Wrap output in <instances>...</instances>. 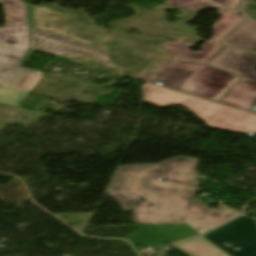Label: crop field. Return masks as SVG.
Instances as JSON below:
<instances>
[{
	"label": "crop field",
	"instance_id": "crop-field-8",
	"mask_svg": "<svg viewBox=\"0 0 256 256\" xmlns=\"http://www.w3.org/2000/svg\"><path fill=\"white\" fill-rule=\"evenodd\" d=\"M209 65L217 66L230 72L256 81V53L226 47Z\"/></svg>",
	"mask_w": 256,
	"mask_h": 256
},
{
	"label": "crop field",
	"instance_id": "crop-field-3",
	"mask_svg": "<svg viewBox=\"0 0 256 256\" xmlns=\"http://www.w3.org/2000/svg\"><path fill=\"white\" fill-rule=\"evenodd\" d=\"M144 101L161 107L181 105L210 127L237 132H256V115L145 83Z\"/></svg>",
	"mask_w": 256,
	"mask_h": 256
},
{
	"label": "crop field",
	"instance_id": "crop-field-17",
	"mask_svg": "<svg viewBox=\"0 0 256 256\" xmlns=\"http://www.w3.org/2000/svg\"><path fill=\"white\" fill-rule=\"evenodd\" d=\"M166 3L174 6L182 7V8L197 10V11H200L206 7L214 5L206 0H170Z\"/></svg>",
	"mask_w": 256,
	"mask_h": 256
},
{
	"label": "crop field",
	"instance_id": "crop-field-12",
	"mask_svg": "<svg viewBox=\"0 0 256 256\" xmlns=\"http://www.w3.org/2000/svg\"><path fill=\"white\" fill-rule=\"evenodd\" d=\"M191 45H187L180 42H170L164 49L194 59L196 61L206 64L215 54H217L224 46L207 42L200 52H193L188 50Z\"/></svg>",
	"mask_w": 256,
	"mask_h": 256
},
{
	"label": "crop field",
	"instance_id": "crop-field-2",
	"mask_svg": "<svg viewBox=\"0 0 256 256\" xmlns=\"http://www.w3.org/2000/svg\"><path fill=\"white\" fill-rule=\"evenodd\" d=\"M137 79L217 101L238 76L176 54L158 73L145 71Z\"/></svg>",
	"mask_w": 256,
	"mask_h": 256
},
{
	"label": "crop field",
	"instance_id": "crop-field-6",
	"mask_svg": "<svg viewBox=\"0 0 256 256\" xmlns=\"http://www.w3.org/2000/svg\"><path fill=\"white\" fill-rule=\"evenodd\" d=\"M7 24L0 28V39L28 48L25 4L19 0H0Z\"/></svg>",
	"mask_w": 256,
	"mask_h": 256
},
{
	"label": "crop field",
	"instance_id": "crop-field-7",
	"mask_svg": "<svg viewBox=\"0 0 256 256\" xmlns=\"http://www.w3.org/2000/svg\"><path fill=\"white\" fill-rule=\"evenodd\" d=\"M198 235L185 225L141 226L128 239L134 246L152 242L154 245L166 241L172 243Z\"/></svg>",
	"mask_w": 256,
	"mask_h": 256
},
{
	"label": "crop field",
	"instance_id": "crop-field-16",
	"mask_svg": "<svg viewBox=\"0 0 256 256\" xmlns=\"http://www.w3.org/2000/svg\"><path fill=\"white\" fill-rule=\"evenodd\" d=\"M27 94V91L0 87V103L19 106Z\"/></svg>",
	"mask_w": 256,
	"mask_h": 256
},
{
	"label": "crop field",
	"instance_id": "crop-field-4",
	"mask_svg": "<svg viewBox=\"0 0 256 256\" xmlns=\"http://www.w3.org/2000/svg\"><path fill=\"white\" fill-rule=\"evenodd\" d=\"M232 256H256V223L239 217L205 235Z\"/></svg>",
	"mask_w": 256,
	"mask_h": 256
},
{
	"label": "crop field",
	"instance_id": "crop-field-19",
	"mask_svg": "<svg viewBox=\"0 0 256 256\" xmlns=\"http://www.w3.org/2000/svg\"><path fill=\"white\" fill-rule=\"evenodd\" d=\"M14 65L6 64L0 62V84L9 74V72L13 69Z\"/></svg>",
	"mask_w": 256,
	"mask_h": 256
},
{
	"label": "crop field",
	"instance_id": "crop-field-11",
	"mask_svg": "<svg viewBox=\"0 0 256 256\" xmlns=\"http://www.w3.org/2000/svg\"><path fill=\"white\" fill-rule=\"evenodd\" d=\"M172 246L187 256H228L202 236Z\"/></svg>",
	"mask_w": 256,
	"mask_h": 256
},
{
	"label": "crop field",
	"instance_id": "crop-field-14",
	"mask_svg": "<svg viewBox=\"0 0 256 256\" xmlns=\"http://www.w3.org/2000/svg\"><path fill=\"white\" fill-rule=\"evenodd\" d=\"M218 8L219 15L222 17L213 25L214 36L209 41L218 43L230 30H232L243 17L235 15L221 7Z\"/></svg>",
	"mask_w": 256,
	"mask_h": 256
},
{
	"label": "crop field",
	"instance_id": "crop-field-20",
	"mask_svg": "<svg viewBox=\"0 0 256 256\" xmlns=\"http://www.w3.org/2000/svg\"><path fill=\"white\" fill-rule=\"evenodd\" d=\"M35 50L30 49L29 52L24 56V58L20 61L18 65L23 66L26 61L33 55Z\"/></svg>",
	"mask_w": 256,
	"mask_h": 256
},
{
	"label": "crop field",
	"instance_id": "crop-field-9",
	"mask_svg": "<svg viewBox=\"0 0 256 256\" xmlns=\"http://www.w3.org/2000/svg\"><path fill=\"white\" fill-rule=\"evenodd\" d=\"M219 102L250 111L256 104V82L241 77L239 82Z\"/></svg>",
	"mask_w": 256,
	"mask_h": 256
},
{
	"label": "crop field",
	"instance_id": "crop-field-21",
	"mask_svg": "<svg viewBox=\"0 0 256 256\" xmlns=\"http://www.w3.org/2000/svg\"><path fill=\"white\" fill-rule=\"evenodd\" d=\"M246 1H256V0H246Z\"/></svg>",
	"mask_w": 256,
	"mask_h": 256
},
{
	"label": "crop field",
	"instance_id": "crop-field-13",
	"mask_svg": "<svg viewBox=\"0 0 256 256\" xmlns=\"http://www.w3.org/2000/svg\"><path fill=\"white\" fill-rule=\"evenodd\" d=\"M40 71L17 66L2 86L30 91L38 82Z\"/></svg>",
	"mask_w": 256,
	"mask_h": 256
},
{
	"label": "crop field",
	"instance_id": "crop-field-5",
	"mask_svg": "<svg viewBox=\"0 0 256 256\" xmlns=\"http://www.w3.org/2000/svg\"><path fill=\"white\" fill-rule=\"evenodd\" d=\"M31 48L54 56L68 53L83 55L88 58L109 63L106 50L101 47L86 44L62 36L30 28Z\"/></svg>",
	"mask_w": 256,
	"mask_h": 256
},
{
	"label": "crop field",
	"instance_id": "crop-field-1",
	"mask_svg": "<svg viewBox=\"0 0 256 256\" xmlns=\"http://www.w3.org/2000/svg\"><path fill=\"white\" fill-rule=\"evenodd\" d=\"M198 162L177 156L161 164L121 167L108 186V196L119 201L123 210L132 212L135 224H187L204 232L239 213L222 200L216 210L195 199ZM157 177L167 179L166 183L157 181Z\"/></svg>",
	"mask_w": 256,
	"mask_h": 256
},
{
	"label": "crop field",
	"instance_id": "crop-field-10",
	"mask_svg": "<svg viewBox=\"0 0 256 256\" xmlns=\"http://www.w3.org/2000/svg\"><path fill=\"white\" fill-rule=\"evenodd\" d=\"M221 43L256 51V22L246 19Z\"/></svg>",
	"mask_w": 256,
	"mask_h": 256
},
{
	"label": "crop field",
	"instance_id": "crop-field-18",
	"mask_svg": "<svg viewBox=\"0 0 256 256\" xmlns=\"http://www.w3.org/2000/svg\"><path fill=\"white\" fill-rule=\"evenodd\" d=\"M212 1L218 4H221L236 12L241 0H212Z\"/></svg>",
	"mask_w": 256,
	"mask_h": 256
},
{
	"label": "crop field",
	"instance_id": "crop-field-15",
	"mask_svg": "<svg viewBox=\"0 0 256 256\" xmlns=\"http://www.w3.org/2000/svg\"><path fill=\"white\" fill-rule=\"evenodd\" d=\"M27 50V48L9 45L0 40V61L16 65Z\"/></svg>",
	"mask_w": 256,
	"mask_h": 256
}]
</instances>
